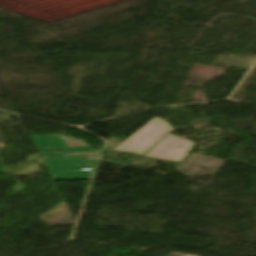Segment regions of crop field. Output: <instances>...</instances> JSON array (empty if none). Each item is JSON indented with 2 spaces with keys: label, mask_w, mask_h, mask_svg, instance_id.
<instances>
[{
  "label": "crop field",
  "mask_w": 256,
  "mask_h": 256,
  "mask_svg": "<svg viewBox=\"0 0 256 256\" xmlns=\"http://www.w3.org/2000/svg\"><path fill=\"white\" fill-rule=\"evenodd\" d=\"M173 129L163 119L155 117L113 150L143 154Z\"/></svg>",
  "instance_id": "8a807250"
},
{
  "label": "crop field",
  "mask_w": 256,
  "mask_h": 256,
  "mask_svg": "<svg viewBox=\"0 0 256 256\" xmlns=\"http://www.w3.org/2000/svg\"><path fill=\"white\" fill-rule=\"evenodd\" d=\"M54 181L89 179L97 160L83 156L42 158ZM83 163L84 166H80Z\"/></svg>",
  "instance_id": "ac0d7876"
},
{
  "label": "crop field",
  "mask_w": 256,
  "mask_h": 256,
  "mask_svg": "<svg viewBox=\"0 0 256 256\" xmlns=\"http://www.w3.org/2000/svg\"><path fill=\"white\" fill-rule=\"evenodd\" d=\"M196 142L168 134L144 155L182 161Z\"/></svg>",
  "instance_id": "34b2d1b8"
},
{
  "label": "crop field",
  "mask_w": 256,
  "mask_h": 256,
  "mask_svg": "<svg viewBox=\"0 0 256 256\" xmlns=\"http://www.w3.org/2000/svg\"><path fill=\"white\" fill-rule=\"evenodd\" d=\"M41 157L65 156L66 153L93 152L90 147L67 148L63 135L31 136ZM53 151H61L55 153Z\"/></svg>",
  "instance_id": "412701ff"
}]
</instances>
